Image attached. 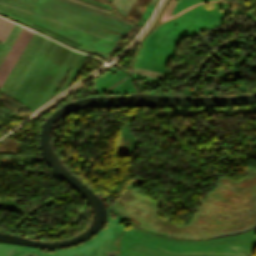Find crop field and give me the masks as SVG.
<instances>
[{
	"instance_id": "obj_1",
	"label": "crop field",
	"mask_w": 256,
	"mask_h": 256,
	"mask_svg": "<svg viewBox=\"0 0 256 256\" xmlns=\"http://www.w3.org/2000/svg\"><path fill=\"white\" fill-rule=\"evenodd\" d=\"M26 29L23 28L19 37L17 36V40L15 41L2 65L0 64V86L10 72L13 65L15 64L16 60L20 56L21 52L25 48L26 44L30 40L31 36L33 35V32Z\"/></svg>"
},
{
	"instance_id": "obj_2",
	"label": "crop field",
	"mask_w": 256,
	"mask_h": 256,
	"mask_svg": "<svg viewBox=\"0 0 256 256\" xmlns=\"http://www.w3.org/2000/svg\"><path fill=\"white\" fill-rule=\"evenodd\" d=\"M14 23L0 17V40L4 41Z\"/></svg>"
}]
</instances>
